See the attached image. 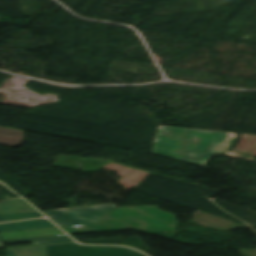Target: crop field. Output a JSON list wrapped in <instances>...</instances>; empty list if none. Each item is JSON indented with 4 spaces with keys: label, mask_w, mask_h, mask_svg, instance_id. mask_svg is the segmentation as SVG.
<instances>
[{
    "label": "crop field",
    "mask_w": 256,
    "mask_h": 256,
    "mask_svg": "<svg viewBox=\"0 0 256 256\" xmlns=\"http://www.w3.org/2000/svg\"><path fill=\"white\" fill-rule=\"evenodd\" d=\"M234 138L227 132L161 126L153 152L204 166L212 153L229 154Z\"/></svg>",
    "instance_id": "1"
},
{
    "label": "crop field",
    "mask_w": 256,
    "mask_h": 256,
    "mask_svg": "<svg viewBox=\"0 0 256 256\" xmlns=\"http://www.w3.org/2000/svg\"><path fill=\"white\" fill-rule=\"evenodd\" d=\"M174 215L160 211L157 206L115 208L98 224L65 227L70 234L135 229L146 233L176 231Z\"/></svg>",
    "instance_id": "2"
},
{
    "label": "crop field",
    "mask_w": 256,
    "mask_h": 256,
    "mask_svg": "<svg viewBox=\"0 0 256 256\" xmlns=\"http://www.w3.org/2000/svg\"><path fill=\"white\" fill-rule=\"evenodd\" d=\"M47 256H144L124 247L79 246L74 242L46 245Z\"/></svg>",
    "instance_id": "3"
},
{
    "label": "crop field",
    "mask_w": 256,
    "mask_h": 256,
    "mask_svg": "<svg viewBox=\"0 0 256 256\" xmlns=\"http://www.w3.org/2000/svg\"><path fill=\"white\" fill-rule=\"evenodd\" d=\"M116 206H101L44 212L60 227L99 222Z\"/></svg>",
    "instance_id": "4"
},
{
    "label": "crop field",
    "mask_w": 256,
    "mask_h": 256,
    "mask_svg": "<svg viewBox=\"0 0 256 256\" xmlns=\"http://www.w3.org/2000/svg\"><path fill=\"white\" fill-rule=\"evenodd\" d=\"M55 227L46 219L0 224V232Z\"/></svg>",
    "instance_id": "5"
},
{
    "label": "crop field",
    "mask_w": 256,
    "mask_h": 256,
    "mask_svg": "<svg viewBox=\"0 0 256 256\" xmlns=\"http://www.w3.org/2000/svg\"><path fill=\"white\" fill-rule=\"evenodd\" d=\"M24 141L23 131L0 127V145L16 147Z\"/></svg>",
    "instance_id": "6"
},
{
    "label": "crop field",
    "mask_w": 256,
    "mask_h": 256,
    "mask_svg": "<svg viewBox=\"0 0 256 256\" xmlns=\"http://www.w3.org/2000/svg\"><path fill=\"white\" fill-rule=\"evenodd\" d=\"M37 212L22 198L0 202V213Z\"/></svg>",
    "instance_id": "7"
},
{
    "label": "crop field",
    "mask_w": 256,
    "mask_h": 256,
    "mask_svg": "<svg viewBox=\"0 0 256 256\" xmlns=\"http://www.w3.org/2000/svg\"><path fill=\"white\" fill-rule=\"evenodd\" d=\"M8 256H46L45 245L7 248Z\"/></svg>",
    "instance_id": "8"
},
{
    "label": "crop field",
    "mask_w": 256,
    "mask_h": 256,
    "mask_svg": "<svg viewBox=\"0 0 256 256\" xmlns=\"http://www.w3.org/2000/svg\"><path fill=\"white\" fill-rule=\"evenodd\" d=\"M24 241H32L33 245H39V244H47V243H55V242H67V241H73V240L70 239L68 236H59V237H47V238L9 240V241H3V243L24 242Z\"/></svg>",
    "instance_id": "9"
},
{
    "label": "crop field",
    "mask_w": 256,
    "mask_h": 256,
    "mask_svg": "<svg viewBox=\"0 0 256 256\" xmlns=\"http://www.w3.org/2000/svg\"><path fill=\"white\" fill-rule=\"evenodd\" d=\"M256 136H249V135H243L239 145L234 150L238 153L246 154V155H252L253 151L256 149V143L251 148ZM251 148V150H250ZM250 150V152H249ZM249 152V153H248ZM256 154V152H255Z\"/></svg>",
    "instance_id": "10"
},
{
    "label": "crop field",
    "mask_w": 256,
    "mask_h": 256,
    "mask_svg": "<svg viewBox=\"0 0 256 256\" xmlns=\"http://www.w3.org/2000/svg\"><path fill=\"white\" fill-rule=\"evenodd\" d=\"M10 220H18V219H25V218H32V217H39L42 216L39 213H14V214H4Z\"/></svg>",
    "instance_id": "11"
},
{
    "label": "crop field",
    "mask_w": 256,
    "mask_h": 256,
    "mask_svg": "<svg viewBox=\"0 0 256 256\" xmlns=\"http://www.w3.org/2000/svg\"><path fill=\"white\" fill-rule=\"evenodd\" d=\"M7 219L3 214H0V221H7Z\"/></svg>",
    "instance_id": "12"
},
{
    "label": "crop field",
    "mask_w": 256,
    "mask_h": 256,
    "mask_svg": "<svg viewBox=\"0 0 256 256\" xmlns=\"http://www.w3.org/2000/svg\"><path fill=\"white\" fill-rule=\"evenodd\" d=\"M0 247H4V245L1 243V241H0Z\"/></svg>",
    "instance_id": "13"
}]
</instances>
